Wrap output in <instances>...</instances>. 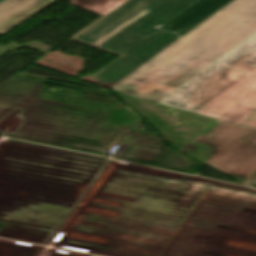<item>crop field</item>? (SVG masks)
Listing matches in <instances>:
<instances>
[{
    "label": "crop field",
    "mask_w": 256,
    "mask_h": 256,
    "mask_svg": "<svg viewBox=\"0 0 256 256\" xmlns=\"http://www.w3.org/2000/svg\"><path fill=\"white\" fill-rule=\"evenodd\" d=\"M231 0H197L160 29L185 35Z\"/></svg>",
    "instance_id": "f4fd0767"
},
{
    "label": "crop field",
    "mask_w": 256,
    "mask_h": 256,
    "mask_svg": "<svg viewBox=\"0 0 256 256\" xmlns=\"http://www.w3.org/2000/svg\"><path fill=\"white\" fill-rule=\"evenodd\" d=\"M125 1L126 0H71V3L103 16Z\"/></svg>",
    "instance_id": "e52e79f7"
},
{
    "label": "crop field",
    "mask_w": 256,
    "mask_h": 256,
    "mask_svg": "<svg viewBox=\"0 0 256 256\" xmlns=\"http://www.w3.org/2000/svg\"><path fill=\"white\" fill-rule=\"evenodd\" d=\"M57 0H6L0 4V34L6 33Z\"/></svg>",
    "instance_id": "dd49c442"
},
{
    "label": "crop field",
    "mask_w": 256,
    "mask_h": 256,
    "mask_svg": "<svg viewBox=\"0 0 256 256\" xmlns=\"http://www.w3.org/2000/svg\"><path fill=\"white\" fill-rule=\"evenodd\" d=\"M158 104L256 128V32Z\"/></svg>",
    "instance_id": "34b2d1b8"
},
{
    "label": "crop field",
    "mask_w": 256,
    "mask_h": 256,
    "mask_svg": "<svg viewBox=\"0 0 256 256\" xmlns=\"http://www.w3.org/2000/svg\"><path fill=\"white\" fill-rule=\"evenodd\" d=\"M244 183H256V172H254Z\"/></svg>",
    "instance_id": "d8731c3e"
},
{
    "label": "crop field",
    "mask_w": 256,
    "mask_h": 256,
    "mask_svg": "<svg viewBox=\"0 0 256 256\" xmlns=\"http://www.w3.org/2000/svg\"><path fill=\"white\" fill-rule=\"evenodd\" d=\"M1 1V0H0Z\"/></svg>",
    "instance_id": "5a996713"
},
{
    "label": "crop field",
    "mask_w": 256,
    "mask_h": 256,
    "mask_svg": "<svg viewBox=\"0 0 256 256\" xmlns=\"http://www.w3.org/2000/svg\"><path fill=\"white\" fill-rule=\"evenodd\" d=\"M186 153L241 184L256 170V129L217 124Z\"/></svg>",
    "instance_id": "412701ff"
},
{
    "label": "crop field",
    "mask_w": 256,
    "mask_h": 256,
    "mask_svg": "<svg viewBox=\"0 0 256 256\" xmlns=\"http://www.w3.org/2000/svg\"><path fill=\"white\" fill-rule=\"evenodd\" d=\"M256 31V0H233L111 89L159 102Z\"/></svg>",
    "instance_id": "8a807250"
},
{
    "label": "crop field",
    "mask_w": 256,
    "mask_h": 256,
    "mask_svg": "<svg viewBox=\"0 0 256 256\" xmlns=\"http://www.w3.org/2000/svg\"><path fill=\"white\" fill-rule=\"evenodd\" d=\"M196 0H128L71 39L124 54L88 79L108 88L181 36L158 29Z\"/></svg>",
    "instance_id": "ac0d7876"
}]
</instances>
